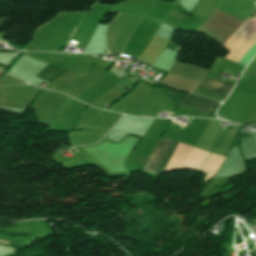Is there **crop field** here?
Wrapping results in <instances>:
<instances>
[{"instance_id":"6","label":"crop field","mask_w":256,"mask_h":256,"mask_svg":"<svg viewBox=\"0 0 256 256\" xmlns=\"http://www.w3.org/2000/svg\"><path fill=\"white\" fill-rule=\"evenodd\" d=\"M0 242L5 243V244H8V245H9V243H7V242H3V241H0Z\"/></svg>"},{"instance_id":"2","label":"crop field","mask_w":256,"mask_h":256,"mask_svg":"<svg viewBox=\"0 0 256 256\" xmlns=\"http://www.w3.org/2000/svg\"><path fill=\"white\" fill-rule=\"evenodd\" d=\"M215 8L245 21L256 6L252 0H220Z\"/></svg>"},{"instance_id":"1","label":"crop field","mask_w":256,"mask_h":256,"mask_svg":"<svg viewBox=\"0 0 256 256\" xmlns=\"http://www.w3.org/2000/svg\"><path fill=\"white\" fill-rule=\"evenodd\" d=\"M178 142L160 139L142 169L159 175Z\"/></svg>"},{"instance_id":"5","label":"crop field","mask_w":256,"mask_h":256,"mask_svg":"<svg viewBox=\"0 0 256 256\" xmlns=\"http://www.w3.org/2000/svg\"><path fill=\"white\" fill-rule=\"evenodd\" d=\"M256 78V68L254 69V71L252 72L251 76L249 79H253Z\"/></svg>"},{"instance_id":"3","label":"crop field","mask_w":256,"mask_h":256,"mask_svg":"<svg viewBox=\"0 0 256 256\" xmlns=\"http://www.w3.org/2000/svg\"><path fill=\"white\" fill-rule=\"evenodd\" d=\"M219 103L190 94L181 105L210 114Z\"/></svg>"},{"instance_id":"4","label":"crop field","mask_w":256,"mask_h":256,"mask_svg":"<svg viewBox=\"0 0 256 256\" xmlns=\"http://www.w3.org/2000/svg\"><path fill=\"white\" fill-rule=\"evenodd\" d=\"M232 87V84L204 78L203 82L197 88L227 97Z\"/></svg>"}]
</instances>
